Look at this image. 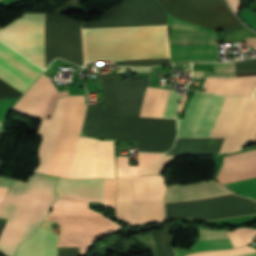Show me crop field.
<instances>
[{
	"label": "crop field",
	"mask_w": 256,
	"mask_h": 256,
	"mask_svg": "<svg viewBox=\"0 0 256 256\" xmlns=\"http://www.w3.org/2000/svg\"><path fill=\"white\" fill-rule=\"evenodd\" d=\"M43 70L0 42V80L24 93Z\"/></svg>",
	"instance_id": "5142ce71"
},
{
	"label": "crop field",
	"mask_w": 256,
	"mask_h": 256,
	"mask_svg": "<svg viewBox=\"0 0 256 256\" xmlns=\"http://www.w3.org/2000/svg\"><path fill=\"white\" fill-rule=\"evenodd\" d=\"M56 179L35 173L27 183L0 177V186L9 187L0 207V217L9 218L0 237L1 254L13 256L18 244L42 223L57 198Z\"/></svg>",
	"instance_id": "412701ff"
},
{
	"label": "crop field",
	"mask_w": 256,
	"mask_h": 256,
	"mask_svg": "<svg viewBox=\"0 0 256 256\" xmlns=\"http://www.w3.org/2000/svg\"><path fill=\"white\" fill-rule=\"evenodd\" d=\"M205 71H193L192 77L194 78H203Z\"/></svg>",
	"instance_id": "d32e631a"
},
{
	"label": "crop field",
	"mask_w": 256,
	"mask_h": 256,
	"mask_svg": "<svg viewBox=\"0 0 256 256\" xmlns=\"http://www.w3.org/2000/svg\"><path fill=\"white\" fill-rule=\"evenodd\" d=\"M256 177V150L224 157L217 180L226 184ZM240 195L256 198V178L226 184Z\"/></svg>",
	"instance_id": "cbeb9de0"
},
{
	"label": "crop field",
	"mask_w": 256,
	"mask_h": 256,
	"mask_svg": "<svg viewBox=\"0 0 256 256\" xmlns=\"http://www.w3.org/2000/svg\"><path fill=\"white\" fill-rule=\"evenodd\" d=\"M236 72L256 70V59L235 62Z\"/></svg>",
	"instance_id": "d3111659"
},
{
	"label": "crop field",
	"mask_w": 256,
	"mask_h": 256,
	"mask_svg": "<svg viewBox=\"0 0 256 256\" xmlns=\"http://www.w3.org/2000/svg\"><path fill=\"white\" fill-rule=\"evenodd\" d=\"M152 88H146L139 117H144ZM160 89H152L145 117H153ZM170 90L161 89L154 118H162Z\"/></svg>",
	"instance_id": "214f88e0"
},
{
	"label": "crop field",
	"mask_w": 256,
	"mask_h": 256,
	"mask_svg": "<svg viewBox=\"0 0 256 256\" xmlns=\"http://www.w3.org/2000/svg\"><path fill=\"white\" fill-rule=\"evenodd\" d=\"M2 122H0V125H1Z\"/></svg>",
	"instance_id": "e1f06a70"
},
{
	"label": "crop field",
	"mask_w": 256,
	"mask_h": 256,
	"mask_svg": "<svg viewBox=\"0 0 256 256\" xmlns=\"http://www.w3.org/2000/svg\"><path fill=\"white\" fill-rule=\"evenodd\" d=\"M0 170H1V168H0Z\"/></svg>",
	"instance_id": "0bd39190"
},
{
	"label": "crop field",
	"mask_w": 256,
	"mask_h": 256,
	"mask_svg": "<svg viewBox=\"0 0 256 256\" xmlns=\"http://www.w3.org/2000/svg\"><path fill=\"white\" fill-rule=\"evenodd\" d=\"M230 3L233 7V9L236 10V12H238L239 6H240V0H230Z\"/></svg>",
	"instance_id": "120bbe31"
},
{
	"label": "crop field",
	"mask_w": 256,
	"mask_h": 256,
	"mask_svg": "<svg viewBox=\"0 0 256 256\" xmlns=\"http://www.w3.org/2000/svg\"><path fill=\"white\" fill-rule=\"evenodd\" d=\"M181 96L172 90L170 91L169 99L165 109L164 117L169 119H175V114L180 101Z\"/></svg>",
	"instance_id": "4177f3b9"
},
{
	"label": "crop field",
	"mask_w": 256,
	"mask_h": 256,
	"mask_svg": "<svg viewBox=\"0 0 256 256\" xmlns=\"http://www.w3.org/2000/svg\"><path fill=\"white\" fill-rule=\"evenodd\" d=\"M199 231L200 238L191 249L182 250L174 248L176 256H183L194 251L218 249V240L219 249L240 246L252 241L253 236L256 234V230H252L250 228H239L232 231H218L217 240V231L200 228Z\"/></svg>",
	"instance_id": "733c2abd"
},
{
	"label": "crop field",
	"mask_w": 256,
	"mask_h": 256,
	"mask_svg": "<svg viewBox=\"0 0 256 256\" xmlns=\"http://www.w3.org/2000/svg\"><path fill=\"white\" fill-rule=\"evenodd\" d=\"M7 189L8 188L0 187V205L2 203V200H3L4 196H5V193H6Z\"/></svg>",
	"instance_id": "5866460e"
},
{
	"label": "crop field",
	"mask_w": 256,
	"mask_h": 256,
	"mask_svg": "<svg viewBox=\"0 0 256 256\" xmlns=\"http://www.w3.org/2000/svg\"><path fill=\"white\" fill-rule=\"evenodd\" d=\"M85 109L84 96L57 99L53 117L39 126L43 140L35 171L68 178Z\"/></svg>",
	"instance_id": "f4fd0767"
},
{
	"label": "crop field",
	"mask_w": 256,
	"mask_h": 256,
	"mask_svg": "<svg viewBox=\"0 0 256 256\" xmlns=\"http://www.w3.org/2000/svg\"><path fill=\"white\" fill-rule=\"evenodd\" d=\"M251 251H256V250L251 248V247L244 246V247L231 249V250H224V251L199 252V253H194V254H190V255H187V256H230V255H235V254H240V253H245V252H251ZM235 256H256V252L240 254V255H235Z\"/></svg>",
	"instance_id": "00972430"
},
{
	"label": "crop field",
	"mask_w": 256,
	"mask_h": 256,
	"mask_svg": "<svg viewBox=\"0 0 256 256\" xmlns=\"http://www.w3.org/2000/svg\"><path fill=\"white\" fill-rule=\"evenodd\" d=\"M224 98L195 91L184 120L178 119V137H209Z\"/></svg>",
	"instance_id": "22f410ed"
},
{
	"label": "crop field",
	"mask_w": 256,
	"mask_h": 256,
	"mask_svg": "<svg viewBox=\"0 0 256 256\" xmlns=\"http://www.w3.org/2000/svg\"><path fill=\"white\" fill-rule=\"evenodd\" d=\"M173 16L215 31L241 25L225 0H157Z\"/></svg>",
	"instance_id": "28ad6ade"
},
{
	"label": "crop field",
	"mask_w": 256,
	"mask_h": 256,
	"mask_svg": "<svg viewBox=\"0 0 256 256\" xmlns=\"http://www.w3.org/2000/svg\"><path fill=\"white\" fill-rule=\"evenodd\" d=\"M255 126L256 98L226 97L210 137H225L219 153H233L249 143ZM255 136L256 128L250 143Z\"/></svg>",
	"instance_id": "d8731c3e"
},
{
	"label": "crop field",
	"mask_w": 256,
	"mask_h": 256,
	"mask_svg": "<svg viewBox=\"0 0 256 256\" xmlns=\"http://www.w3.org/2000/svg\"><path fill=\"white\" fill-rule=\"evenodd\" d=\"M102 191L103 179L60 178L57 185L58 200L102 203ZM66 201H57L46 219L58 222L59 242L58 235L52 234L53 222H43L36 234L20 245L15 256H57V242L58 247H80V255H83L94 240L120 227L88 209L90 203Z\"/></svg>",
	"instance_id": "ac0d7876"
},
{
	"label": "crop field",
	"mask_w": 256,
	"mask_h": 256,
	"mask_svg": "<svg viewBox=\"0 0 256 256\" xmlns=\"http://www.w3.org/2000/svg\"><path fill=\"white\" fill-rule=\"evenodd\" d=\"M187 91H188V89H187ZM187 91H186V93H185V95H184V97H183V100H182V102H181V104H180V106H179L178 112H181L182 109H183V106H184L185 101H186V99H187V96H188V94H189V93H187Z\"/></svg>",
	"instance_id": "028f5c9d"
},
{
	"label": "crop field",
	"mask_w": 256,
	"mask_h": 256,
	"mask_svg": "<svg viewBox=\"0 0 256 256\" xmlns=\"http://www.w3.org/2000/svg\"><path fill=\"white\" fill-rule=\"evenodd\" d=\"M69 178H115L113 141L80 137Z\"/></svg>",
	"instance_id": "d1516ede"
},
{
	"label": "crop field",
	"mask_w": 256,
	"mask_h": 256,
	"mask_svg": "<svg viewBox=\"0 0 256 256\" xmlns=\"http://www.w3.org/2000/svg\"><path fill=\"white\" fill-rule=\"evenodd\" d=\"M58 256H79V248H58Z\"/></svg>",
	"instance_id": "bd1437ed"
},
{
	"label": "crop field",
	"mask_w": 256,
	"mask_h": 256,
	"mask_svg": "<svg viewBox=\"0 0 256 256\" xmlns=\"http://www.w3.org/2000/svg\"><path fill=\"white\" fill-rule=\"evenodd\" d=\"M148 68L119 67L117 72L149 71ZM107 115L138 117L148 77L119 80V74L101 76Z\"/></svg>",
	"instance_id": "3316defc"
},
{
	"label": "crop field",
	"mask_w": 256,
	"mask_h": 256,
	"mask_svg": "<svg viewBox=\"0 0 256 256\" xmlns=\"http://www.w3.org/2000/svg\"><path fill=\"white\" fill-rule=\"evenodd\" d=\"M162 154L157 153H138V170L141 174L147 167H149Z\"/></svg>",
	"instance_id": "eef30255"
},
{
	"label": "crop field",
	"mask_w": 256,
	"mask_h": 256,
	"mask_svg": "<svg viewBox=\"0 0 256 256\" xmlns=\"http://www.w3.org/2000/svg\"><path fill=\"white\" fill-rule=\"evenodd\" d=\"M247 47H253L256 50V38L254 39H246Z\"/></svg>",
	"instance_id": "1d83c4d3"
},
{
	"label": "crop field",
	"mask_w": 256,
	"mask_h": 256,
	"mask_svg": "<svg viewBox=\"0 0 256 256\" xmlns=\"http://www.w3.org/2000/svg\"><path fill=\"white\" fill-rule=\"evenodd\" d=\"M168 20L172 63L218 61L216 32L169 15Z\"/></svg>",
	"instance_id": "5a996713"
},
{
	"label": "crop field",
	"mask_w": 256,
	"mask_h": 256,
	"mask_svg": "<svg viewBox=\"0 0 256 256\" xmlns=\"http://www.w3.org/2000/svg\"><path fill=\"white\" fill-rule=\"evenodd\" d=\"M65 95L67 91L59 93L51 80L41 76L12 110L38 119L50 117L55 98Z\"/></svg>",
	"instance_id": "d9b57169"
},
{
	"label": "crop field",
	"mask_w": 256,
	"mask_h": 256,
	"mask_svg": "<svg viewBox=\"0 0 256 256\" xmlns=\"http://www.w3.org/2000/svg\"><path fill=\"white\" fill-rule=\"evenodd\" d=\"M116 180L104 179L103 204L114 206Z\"/></svg>",
	"instance_id": "730fd06b"
},
{
	"label": "crop field",
	"mask_w": 256,
	"mask_h": 256,
	"mask_svg": "<svg viewBox=\"0 0 256 256\" xmlns=\"http://www.w3.org/2000/svg\"><path fill=\"white\" fill-rule=\"evenodd\" d=\"M207 77H235V73L206 72ZM256 76L241 78H206L205 91L224 95H250ZM204 91V90H203Z\"/></svg>",
	"instance_id": "4a817a6b"
},
{
	"label": "crop field",
	"mask_w": 256,
	"mask_h": 256,
	"mask_svg": "<svg viewBox=\"0 0 256 256\" xmlns=\"http://www.w3.org/2000/svg\"><path fill=\"white\" fill-rule=\"evenodd\" d=\"M45 15L26 13L0 29V40L45 68L44 52ZM81 22L56 12L46 15L45 51L46 68L55 58L83 64Z\"/></svg>",
	"instance_id": "34b2d1b8"
},
{
	"label": "crop field",
	"mask_w": 256,
	"mask_h": 256,
	"mask_svg": "<svg viewBox=\"0 0 256 256\" xmlns=\"http://www.w3.org/2000/svg\"><path fill=\"white\" fill-rule=\"evenodd\" d=\"M176 157L177 156H164L158 162H156L152 167H150L147 171H145L143 174H150V173L161 174L163 172V167L169 164L174 159H176Z\"/></svg>",
	"instance_id": "ae1a2a85"
},
{
	"label": "crop field",
	"mask_w": 256,
	"mask_h": 256,
	"mask_svg": "<svg viewBox=\"0 0 256 256\" xmlns=\"http://www.w3.org/2000/svg\"><path fill=\"white\" fill-rule=\"evenodd\" d=\"M231 194L234 193L214 181L187 185H172L167 189L165 202Z\"/></svg>",
	"instance_id": "bc2a9ffb"
},
{
	"label": "crop field",
	"mask_w": 256,
	"mask_h": 256,
	"mask_svg": "<svg viewBox=\"0 0 256 256\" xmlns=\"http://www.w3.org/2000/svg\"><path fill=\"white\" fill-rule=\"evenodd\" d=\"M152 235L158 256H174L169 231H153Z\"/></svg>",
	"instance_id": "92a150f3"
},
{
	"label": "crop field",
	"mask_w": 256,
	"mask_h": 256,
	"mask_svg": "<svg viewBox=\"0 0 256 256\" xmlns=\"http://www.w3.org/2000/svg\"><path fill=\"white\" fill-rule=\"evenodd\" d=\"M167 25L156 0H127L82 28ZM85 63L169 58L167 26L82 29ZM169 59L125 61V65H164Z\"/></svg>",
	"instance_id": "8a807250"
},
{
	"label": "crop field",
	"mask_w": 256,
	"mask_h": 256,
	"mask_svg": "<svg viewBox=\"0 0 256 256\" xmlns=\"http://www.w3.org/2000/svg\"><path fill=\"white\" fill-rule=\"evenodd\" d=\"M213 70L215 71H229V72H234V62L230 63H214Z\"/></svg>",
	"instance_id": "750c4746"
},
{
	"label": "crop field",
	"mask_w": 256,
	"mask_h": 256,
	"mask_svg": "<svg viewBox=\"0 0 256 256\" xmlns=\"http://www.w3.org/2000/svg\"><path fill=\"white\" fill-rule=\"evenodd\" d=\"M117 159V178H129V157L117 156ZM137 175V166H130V178Z\"/></svg>",
	"instance_id": "a9b5d70f"
},
{
	"label": "crop field",
	"mask_w": 256,
	"mask_h": 256,
	"mask_svg": "<svg viewBox=\"0 0 256 256\" xmlns=\"http://www.w3.org/2000/svg\"><path fill=\"white\" fill-rule=\"evenodd\" d=\"M165 191L164 179L158 175L118 180L116 217L132 225L163 221Z\"/></svg>",
	"instance_id": "e52e79f7"
},
{
	"label": "crop field",
	"mask_w": 256,
	"mask_h": 256,
	"mask_svg": "<svg viewBox=\"0 0 256 256\" xmlns=\"http://www.w3.org/2000/svg\"><path fill=\"white\" fill-rule=\"evenodd\" d=\"M243 25L225 29V42L245 41V38L256 37L254 32Z\"/></svg>",
	"instance_id": "dafd665d"
},
{
	"label": "crop field",
	"mask_w": 256,
	"mask_h": 256,
	"mask_svg": "<svg viewBox=\"0 0 256 256\" xmlns=\"http://www.w3.org/2000/svg\"><path fill=\"white\" fill-rule=\"evenodd\" d=\"M82 134L89 137L139 141L140 151L166 152L175 139V120L106 116L105 103L88 107Z\"/></svg>",
	"instance_id": "dd49c442"
}]
</instances>
